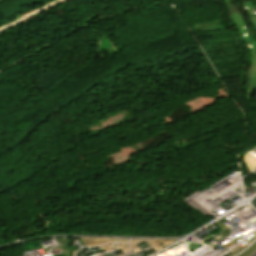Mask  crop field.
I'll list each match as a JSON object with an SVG mask.
<instances>
[{
  "mask_svg": "<svg viewBox=\"0 0 256 256\" xmlns=\"http://www.w3.org/2000/svg\"><path fill=\"white\" fill-rule=\"evenodd\" d=\"M70 246H71V244H70ZM71 252H73V251H72V248H71ZM71 256H72V254H71Z\"/></svg>",
  "mask_w": 256,
  "mask_h": 256,
  "instance_id": "crop-field-1",
  "label": "crop field"
}]
</instances>
